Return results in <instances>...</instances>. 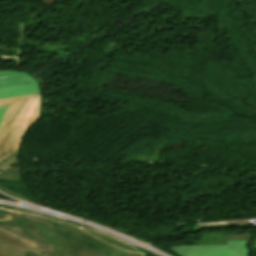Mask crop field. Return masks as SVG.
Segmentation results:
<instances>
[{
	"label": "crop field",
	"instance_id": "412701ff",
	"mask_svg": "<svg viewBox=\"0 0 256 256\" xmlns=\"http://www.w3.org/2000/svg\"><path fill=\"white\" fill-rule=\"evenodd\" d=\"M0 179L23 182L22 170H21V168L10 167L0 173Z\"/></svg>",
	"mask_w": 256,
	"mask_h": 256
},
{
	"label": "crop field",
	"instance_id": "dd49c442",
	"mask_svg": "<svg viewBox=\"0 0 256 256\" xmlns=\"http://www.w3.org/2000/svg\"><path fill=\"white\" fill-rule=\"evenodd\" d=\"M0 256H26V255L0 244Z\"/></svg>",
	"mask_w": 256,
	"mask_h": 256
},
{
	"label": "crop field",
	"instance_id": "34b2d1b8",
	"mask_svg": "<svg viewBox=\"0 0 256 256\" xmlns=\"http://www.w3.org/2000/svg\"><path fill=\"white\" fill-rule=\"evenodd\" d=\"M169 250L182 256H249L246 240H227L226 245H185Z\"/></svg>",
	"mask_w": 256,
	"mask_h": 256
},
{
	"label": "crop field",
	"instance_id": "e52e79f7",
	"mask_svg": "<svg viewBox=\"0 0 256 256\" xmlns=\"http://www.w3.org/2000/svg\"><path fill=\"white\" fill-rule=\"evenodd\" d=\"M8 106H9V105H7V106H1V107H0V123H1V121H2V119H3V117H4V114H5V112H6L7 108H8Z\"/></svg>",
	"mask_w": 256,
	"mask_h": 256
},
{
	"label": "crop field",
	"instance_id": "8a807250",
	"mask_svg": "<svg viewBox=\"0 0 256 256\" xmlns=\"http://www.w3.org/2000/svg\"><path fill=\"white\" fill-rule=\"evenodd\" d=\"M10 104L0 126V161L20 148L25 131L39 119L40 95L0 100Z\"/></svg>",
	"mask_w": 256,
	"mask_h": 256
},
{
	"label": "crop field",
	"instance_id": "f4fd0767",
	"mask_svg": "<svg viewBox=\"0 0 256 256\" xmlns=\"http://www.w3.org/2000/svg\"><path fill=\"white\" fill-rule=\"evenodd\" d=\"M19 151H20V150H19ZM19 151L13 153V154L10 155L8 158H6V159L3 160L2 162H0V171L4 170V169L7 168L8 166H10L12 163L18 161Z\"/></svg>",
	"mask_w": 256,
	"mask_h": 256
},
{
	"label": "crop field",
	"instance_id": "ac0d7876",
	"mask_svg": "<svg viewBox=\"0 0 256 256\" xmlns=\"http://www.w3.org/2000/svg\"><path fill=\"white\" fill-rule=\"evenodd\" d=\"M41 94L39 82L24 72L0 71V99Z\"/></svg>",
	"mask_w": 256,
	"mask_h": 256
}]
</instances>
